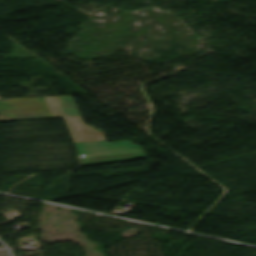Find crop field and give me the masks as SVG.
I'll return each mask as SVG.
<instances>
[{
    "mask_svg": "<svg viewBox=\"0 0 256 256\" xmlns=\"http://www.w3.org/2000/svg\"><path fill=\"white\" fill-rule=\"evenodd\" d=\"M80 116L70 96L0 99V120Z\"/></svg>",
    "mask_w": 256,
    "mask_h": 256,
    "instance_id": "8a807250",
    "label": "crop field"
},
{
    "mask_svg": "<svg viewBox=\"0 0 256 256\" xmlns=\"http://www.w3.org/2000/svg\"><path fill=\"white\" fill-rule=\"evenodd\" d=\"M74 141L105 139L101 130L85 125L81 117L64 118Z\"/></svg>",
    "mask_w": 256,
    "mask_h": 256,
    "instance_id": "34b2d1b8",
    "label": "crop field"
},
{
    "mask_svg": "<svg viewBox=\"0 0 256 256\" xmlns=\"http://www.w3.org/2000/svg\"><path fill=\"white\" fill-rule=\"evenodd\" d=\"M75 146L84 166L145 158L139 145H132L131 141L75 142Z\"/></svg>",
    "mask_w": 256,
    "mask_h": 256,
    "instance_id": "ac0d7876",
    "label": "crop field"
}]
</instances>
